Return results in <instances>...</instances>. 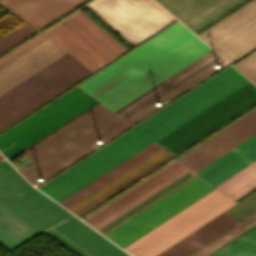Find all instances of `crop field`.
Instances as JSON below:
<instances>
[{
    "mask_svg": "<svg viewBox=\"0 0 256 256\" xmlns=\"http://www.w3.org/2000/svg\"><path fill=\"white\" fill-rule=\"evenodd\" d=\"M256 52V51H255ZM255 52H253L252 54H254ZM252 54H250L249 56H251ZM249 56H247L246 58H248ZM246 58H244L243 60H245ZM243 60H241V61H243ZM241 61H239L238 63H240ZM238 63H236L235 65H237ZM235 65H233V66H235ZM239 65V64H238Z\"/></svg>",
    "mask_w": 256,
    "mask_h": 256,
    "instance_id": "18",
    "label": "crop field"
},
{
    "mask_svg": "<svg viewBox=\"0 0 256 256\" xmlns=\"http://www.w3.org/2000/svg\"><path fill=\"white\" fill-rule=\"evenodd\" d=\"M3 158L1 155H0V159Z\"/></svg>",
    "mask_w": 256,
    "mask_h": 256,
    "instance_id": "19",
    "label": "crop field"
},
{
    "mask_svg": "<svg viewBox=\"0 0 256 256\" xmlns=\"http://www.w3.org/2000/svg\"><path fill=\"white\" fill-rule=\"evenodd\" d=\"M35 31L37 30H35L29 24H22L21 26L0 39V54L26 38L30 34L34 33Z\"/></svg>",
    "mask_w": 256,
    "mask_h": 256,
    "instance_id": "12",
    "label": "crop field"
},
{
    "mask_svg": "<svg viewBox=\"0 0 256 256\" xmlns=\"http://www.w3.org/2000/svg\"><path fill=\"white\" fill-rule=\"evenodd\" d=\"M235 68L256 84V54L235 66Z\"/></svg>",
    "mask_w": 256,
    "mask_h": 256,
    "instance_id": "14",
    "label": "crop field"
},
{
    "mask_svg": "<svg viewBox=\"0 0 256 256\" xmlns=\"http://www.w3.org/2000/svg\"><path fill=\"white\" fill-rule=\"evenodd\" d=\"M255 231H256V225L252 226L251 228H249L245 232L241 233L240 235H238L237 237H235L231 241L227 242L226 244H224L223 246H221L220 248L213 251L212 253H210L207 256H218L219 254H221L222 252H224L228 248L232 247L233 245H235L236 243H238L239 241H241L242 239L249 236L250 234H252Z\"/></svg>",
    "mask_w": 256,
    "mask_h": 256,
    "instance_id": "16",
    "label": "crop field"
},
{
    "mask_svg": "<svg viewBox=\"0 0 256 256\" xmlns=\"http://www.w3.org/2000/svg\"><path fill=\"white\" fill-rule=\"evenodd\" d=\"M185 29L187 28L180 22L176 23L78 87L86 93L89 92ZM192 35L194 34L188 29L185 30L87 94L77 87L74 88L0 136V152L8 160L12 159L25 148L99 101L112 111H117L212 50L195 35ZM222 60L224 59L212 50L115 113L133 125L155 111L158 108L155 106L156 103L167 98L170 100L175 98L218 71L213 66ZM95 97L99 101L95 100Z\"/></svg>",
    "mask_w": 256,
    "mask_h": 256,
    "instance_id": "3",
    "label": "crop field"
},
{
    "mask_svg": "<svg viewBox=\"0 0 256 256\" xmlns=\"http://www.w3.org/2000/svg\"><path fill=\"white\" fill-rule=\"evenodd\" d=\"M247 81L229 67L39 189L60 201ZM255 102L256 86L249 81L155 143L174 155ZM156 144L146 146L58 203L76 213L168 153ZM170 153L75 215L82 214L158 166L173 156Z\"/></svg>",
    "mask_w": 256,
    "mask_h": 256,
    "instance_id": "2",
    "label": "crop field"
},
{
    "mask_svg": "<svg viewBox=\"0 0 256 256\" xmlns=\"http://www.w3.org/2000/svg\"><path fill=\"white\" fill-rule=\"evenodd\" d=\"M82 1L84 0H21L8 9L39 29Z\"/></svg>",
    "mask_w": 256,
    "mask_h": 256,
    "instance_id": "11",
    "label": "crop field"
},
{
    "mask_svg": "<svg viewBox=\"0 0 256 256\" xmlns=\"http://www.w3.org/2000/svg\"><path fill=\"white\" fill-rule=\"evenodd\" d=\"M230 63L256 47V0L198 35Z\"/></svg>",
    "mask_w": 256,
    "mask_h": 256,
    "instance_id": "8",
    "label": "crop field"
},
{
    "mask_svg": "<svg viewBox=\"0 0 256 256\" xmlns=\"http://www.w3.org/2000/svg\"><path fill=\"white\" fill-rule=\"evenodd\" d=\"M195 34L246 0H156Z\"/></svg>",
    "mask_w": 256,
    "mask_h": 256,
    "instance_id": "10",
    "label": "crop field"
},
{
    "mask_svg": "<svg viewBox=\"0 0 256 256\" xmlns=\"http://www.w3.org/2000/svg\"><path fill=\"white\" fill-rule=\"evenodd\" d=\"M43 32L91 72L126 51L79 9ZM43 32L0 58V95L67 53ZM68 53L0 96V130L91 73Z\"/></svg>",
    "mask_w": 256,
    "mask_h": 256,
    "instance_id": "4",
    "label": "crop field"
},
{
    "mask_svg": "<svg viewBox=\"0 0 256 256\" xmlns=\"http://www.w3.org/2000/svg\"><path fill=\"white\" fill-rule=\"evenodd\" d=\"M255 210L256 192L225 212L239 221ZM225 212L207 224L203 225L193 233L189 234L179 242L175 243L165 251L161 252L157 256H185L225 229L238 222Z\"/></svg>",
    "mask_w": 256,
    "mask_h": 256,
    "instance_id": "9",
    "label": "crop field"
},
{
    "mask_svg": "<svg viewBox=\"0 0 256 256\" xmlns=\"http://www.w3.org/2000/svg\"><path fill=\"white\" fill-rule=\"evenodd\" d=\"M241 232H243V231H241L237 228L234 229L233 231H231L227 235L223 236L222 238H220L219 240H217L216 242H214L213 244H211L210 246H208L207 248H205L204 250H202L201 252L197 253L194 256H206L207 254H209L210 252H212L213 250H215L219 246L223 245L224 243H226L227 241H229L233 237L237 236Z\"/></svg>",
    "mask_w": 256,
    "mask_h": 256,
    "instance_id": "15",
    "label": "crop field"
},
{
    "mask_svg": "<svg viewBox=\"0 0 256 256\" xmlns=\"http://www.w3.org/2000/svg\"><path fill=\"white\" fill-rule=\"evenodd\" d=\"M42 232L80 256H130L1 162L0 245L11 251Z\"/></svg>",
    "mask_w": 256,
    "mask_h": 256,
    "instance_id": "5",
    "label": "crop field"
},
{
    "mask_svg": "<svg viewBox=\"0 0 256 256\" xmlns=\"http://www.w3.org/2000/svg\"><path fill=\"white\" fill-rule=\"evenodd\" d=\"M219 256H256V232Z\"/></svg>",
    "mask_w": 256,
    "mask_h": 256,
    "instance_id": "13",
    "label": "crop field"
},
{
    "mask_svg": "<svg viewBox=\"0 0 256 256\" xmlns=\"http://www.w3.org/2000/svg\"><path fill=\"white\" fill-rule=\"evenodd\" d=\"M19 0H0V3L3 4L5 7H10L11 5L15 4Z\"/></svg>",
    "mask_w": 256,
    "mask_h": 256,
    "instance_id": "17",
    "label": "crop field"
},
{
    "mask_svg": "<svg viewBox=\"0 0 256 256\" xmlns=\"http://www.w3.org/2000/svg\"><path fill=\"white\" fill-rule=\"evenodd\" d=\"M255 134L256 110L176 161L195 173ZM254 159L256 135L196 174L214 186ZM185 167L173 162L83 221L106 234L195 175ZM197 175L104 236L123 248L214 187L238 200L256 188V160L214 187ZM217 189L123 249L133 256H155L237 203Z\"/></svg>",
    "mask_w": 256,
    "mask_h": 256,
    "instance_id": "1",
    "label": "crop field"
},
{
    "mask_svg": "<svg viewBox=\"0 0 256 256\" xmlns=\"http://www.w3.org/2000/svg\"><path fill=\"white\" fill-rule=\"evenodd\" d=\"M130 126L99 102L22 151L36 162L20 173L31 184L47 180L95 150L90 146L98 140L106 142Z\"/></svg>",
    "mask_w": 256,
    "mask_h": 256,
    "instance_id": "6",
    "label": "crop field"
},
{
    "mask_svg": "<svg viewBox=\"0 0 256 256\" xmlns=\"http://www.w3.org/2000/svg\"><path fill=\"white\" fill-rule=\"evenodd\" d=\"M87 7L132 46L175 19L154 0H94Z\"/></svg>",
    "mask_w": 256,
    "mask_h": 256,
    "instance_id": "7",
    "label": "crop field"
}]
</instances>
